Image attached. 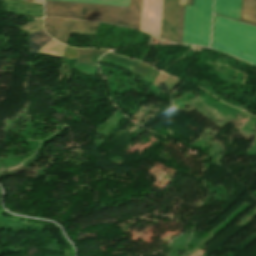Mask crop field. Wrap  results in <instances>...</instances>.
<instances>
[{"instance_id": "2", "label": "crop field", "mask_w": 256, "mask_h": 256, "mask_svg": "<svg viewBox=\"0 0 256 256\" xmlns=\"http://www.w3.org/2000/svg\"><path fill=\"white\" fill-rule=\"evenodd\" d=\"M212 48L256 64V28L215 16Z\"/></svg>"}, {"instance_id": "18", "label": "crop field", "mask_w": 256, "mask_h": 256, "mask_svg": "<svg viewBox=\"0 0 256 256\" xmlns=\"http://www.w3.org/2000/svg\"><path fill=\"white\" fill-rule=\"evenodd\" d=\"M33 2L43 4V0H33Z\"/></svg>"}, {"instance_id": "16", "label": "crop field", "mask_w": 256, "mask_h": 256, "mask_svg": "<svg viewBox=\"0 0 256 256\" xmlns=\"http://www.w3.org/2000/svg\"><path fill=\"white\" fill-rule=\"evenodd\" d=\"M147 72H148V69L135 66L134 70L132 71V74L143 78Z\"/></svg>"}, {"instance_id": "17", "label": "crop field", "mask_w": 256, "mask_h": 256, "mask_svg": "<svg viewBox=\"0 0 256 256\" xmlns=\"http://www.w3.org/2000/svg\"><path fill=\"white\" fill-rule=\"evenodd\" d=\"M239 114H243V115H246V116H250V117L256 118L255 116H252V115H250L248 113H245V112H243L241 110H240Z\"/></svg>"}, {"instance_id": "10", "label": "crop field", "mask_w": 256, "mask_h": 256, "mask_svg": "<svg viewBox=\"0 0 256 256\" xmlns=\"http://www.w3.org/2000/svg\"><path fill=\"white\" fill-rule=\"evenodd\" d=\"M141 0H130L128 27L139 29Z\"/></svg>"}, {"instance_id": "19", "label": "crop field", "mask_w": 256, "mask_h": 256, "mask_svg": "<svg viewBox=\"0 0 256 256\" xmlns=\"http://www.w3.org/2000/svg\"><path fill=\"white\" fill-rule=\"evenodd\" d=\"M187 5H193V0H187Z\"/></svg>"}, {"instance_id": "13", "label": "crop field", "mask_w": 256, "mask_h": 256, "mask_svg": "<svg viewBox=\"0 0 256 256\" xmlns=\"http://www.w3.org/2000/svg\"><path fill=\"white\" fill-rule=\"evenodd\" d=\"M61 21L62 19L45 18L44 20L45 31L53 37Z\"/></svg>"}, {"instance_id": "4", "label": "crop field", "mask_w": 256, "mask_h": 256, "mask_svg": "<svg viewBox=\"0 0 256 256\" xmlns=\"http://www.w3.org/2000/svg\"><path fill=\"white\" fill-rule=\"evenodd\" d=\"M163 0H142L140 30L159 36Z\"/></svg>"}, {"instance_id": "9", "label": "crop field", "mask_w": 256, "mask_h": 256, "mask_svg": "<svg viewBox=\"0 0 256 256\" xmlns=\"http://www.w3.org/2000/svg\"><path fill=\"white\" fill-rule=\"evenodd\" d=\"M52 38L49 37L44 30H40L29 36L30 53L37 54L38 50L48 43Z\"/></svg>"}, {"instance_id": "1", "label": "crop field", "mask_w": 256, "mask_h": 256, "mask_svg": "<svg viewBox=\"0 0 256 256\" xmlns=\"http://www.w3.org/2000/svg\"><path fill=\"white\" fill-rule=\"evenodd\" d=\"M129 7V0H53ZM97 4L45 1V15L59 18L102 21L127 27L128 8Z\"/></svg>"}, {"instance_id": "3", "label": "crop field", "mask_w": 256, "mask_h": 256, "mask_svg": "<svg viewBox=\"0 0 256 256\" xmlns=\"http://www.w3.org/2000/svg\"><path fill=\"white\" fill-rule=\"evenodd\" d=\"M213 0H194L185 6L182 42L208 45Z\"/></svg>"}, {"instance_id": "5", "label": "crop field", "mask_w": 256, "mask_h": 256, "mask_svg": "<svg viewBox=\"0 0 256 256\" xmlns=\"http://www.w3.org/2000/svg\"><path fill=\"white\" fill-rule=\"evenodd\" d=\"M178 0H164L161 37L174 41L177 29Z\"/></svg>"}, {"instance_id": "14", "label": "crop field", "mask_w": 256, "mask_h": 256, "mask_svg": "<svg viewBox=\"0 0 256 256\" xmlns=\"http://www.w3.org/2000/svg\"><path fill=\"white\" fill-rule=\"evenodd\" d=\"M183 12L184 6H180L179 8V22H178V33L176 43H181V36H182V24H183Z\"/></svg>"}, {"instance_id": "15", "label": "crop field", "mask_w": 256, "mask_h": 256, "mask_svg": "<svg viewBox=\"0 0 256 256\" xmlns=\"http://www.w3.org/2000/svg\"><path fill=\"white\" fill-rule=\"evenodd\" d=\"M77 49L67 47L63 58H76Z\"/></svg>"}, {"instance_id": "20", "label": "crop field", "mask_w": 256, "mask_h": 256, "mask_svg": "<svg viewBox=\"0 0 256 256\" xmlns=\"http://www.w3.org/2000/svg\"><path fill=\"white\" fill-rule=\"evenodd\" d=\"M180 5H186V0H180Z\"/></svg>"}, {"instance_id": "7", "label": "crop field", "mask_w": 256, "mask_h": 256, "mask_svg": "<svg viewBox=\"0 0 256 256\" xmlns=\"http://www.w3.org/2000/svg\"><path fill=\"white\" fill-rule=\"evenodd\" d=\"M241 0H215L214 12L239 20Z\"/></svg>"}, {"instance_id": "11", "label": "crop field", "mask_w": 256, "mask_h": 256, "mask_svg": "<svg viewBox=\"0 0 256 256\" xmlns=\"http://www.w3.org/2000/svg\"><path fill=\"white\" fill-rule=\"evenodd\" d=\"M74 23L75 21L73 20L63 19L54 38L61 43H66Z\"/></svg>"}, {"instance_id": "12", "label": "crop field", "mask_w": 256, "mask_h": 256, "mask_svg": "<svg viewBox=\"0 0 256 256\" xmlns=\"http://www.w3.org/2000/svg\"><path fill=\"white\" fill-rule=\"evenodd\" d=\"M97 24L77 21L71 33L92 35Z\"/></svg>"}, {"instance_id": "6", "label": "crop field", "mask_w": 256, "mask_h": 256, "mask_svg": "<svg viewBox=\"0 0 256 256\" xmlns=\"http://www.w3.org/2000/svg\"><path fill=\"white\" fill-rule=\"evenodd\" d=\"M3 3V11L43 17V6L29 4L15 0H1Z\"/></svg>"}, {"instance_id": "8", "label": "crop field", "mask_w": 256, "mask_h": 256, "mask_svg": "<svg viewBox=\"0 0 256 256\" xmlns=\"http://www.w3.org/2000/svg\"><path fill=\"white\" fill-rule=\"evenodd\" d=\"M240 21L256 26V0H242Z\"/></svg>"}]
</instances>
